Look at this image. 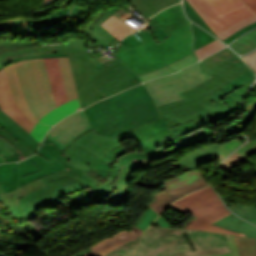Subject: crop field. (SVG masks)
Returning a JSON list of instances; mask_svg holds the SVG:
<instances>
[{
	"instance_id": "52",
	"label": "crop field",
	"mask_w": 256,
	"mask_h": 256,
	"mask_svg": "<svg viewBox=\"0 0 256 256\" xmlns=\"http://www.w3.org/2000/svg\"><path fill=\"white\" fill-rule=\"evenodd\" d=\"M255 152H256V138L250 140L248 143L242 146L235 153L246 159Z\"/></svg>"
},
{
	"instance_id": "12",
	"label": "crop field",
	"mask_w": 256,
	"mask_h": 256,
	"mask_svg": "<svg viewBox=\"0 0 256 256\" xmlns=\"http://www.w3.org/2000/svg\"><path fill=\"white\" fill-rule=\"evenodd\" d=\"M97 73L92 85L106 97L141 83L134 73L119 61Z\"/></svg>"
},
{
	"instance_id": "54",
	"label": "crop field",
	"mask_w": 256,
	"mask_h": 256,
	"mask_svg": "<svg viewBox=\"0 0 256 256\" xmlns=\"http://www.w3.org/2000/svg\"><path fill=\"white\" fill-rule=\"evenodd\" d=\"M0 153L5 159L18 153L10 142L0 136Z\"/></svg>"
},
{
	"instance_id": "29",
	"label": "crop field",
	"mask_w": 256,
	"mask_h": 256,
	"mask_svg": "<svg viewBox=\"0 0 256 256\" xmlns=\"http://www.w3.org/2000/svg\"><path fill=\"white\" fill-rule=\"evenodd\" d=\"M203 180H205L203 175L200 172L193 170L188 173L181 174L178 177L164 183V186L168 190L169 194H171Z\"/></svg>"
},
{
	"instance_id": "59",
	"label": "crop field",
	"mask_w": 256,
	"mask_h": 256,
	"mask_svg": "<svg viewBox=\"0 0 256 256\" xmlns=\"http://www.w3.org/2000/svg\"><path fill=\"white\" fill-rule=\"evenodd\" d=\"M39 170L40 169H38L33 163H31L20 168V177Z\"/></svg>"
},
{
	"instance_id": "64",
	"label": "crop field",
	"mask_w": 256,
	"mask_h": 256,
	"mask_svg": "<svg viewBox=\"0 0 256 256\" xmlns=\"http://www.w3.org/2000/svg\"><path fill=\"white\" fill-rule=\"evenodd\" d=\"M154 223L161 227H170L169 224L161 216Z\"/></svg>"
},
{
	"instance_id": "72",
	"label": "crop field",
	"mask_w": 256,
	"mask_h": 256,
	"mask_svg": "<svg viewBox=\"0 0 256 256\" xmlns=\"http://www.w3.org/2000/svg\"><path fill=\"white\" fill-rule=\"evenodd\" d=\"M255 175H256V169H254V172H253Z\"/></svg>"
},
{
	"instance_id": "65",
	"label": "crop field",
	"mask_w": 256,
	"mask_h": 256,
	"mask_svg": "<svg viewBox=\"0 0 256 256\" xmlns=\"http://www.w3.org/2000/svg\"><path fill=\"white\" fill-rule=\"evenodd\" d=\"M256 13V0H243Z\"/></svg>"
},
{
	"instance_id": "16",
	"label": "crop field",
	"mask_w": 256,
	"mask_h": 256,
	"mask_svg": "<svg viewBox=\"0 0 256 256\" xmlns=\"http://www.w3.org/2000/svg\"><path fill=\"white\" fill-rule=\"evenodd\" d=\"M0 109L29 133L34 127L15 103L4 69L0 70Z\"/></svg>"
},
{
	"instance_id": "5",
	"label": "crop field",
	"mask_w": 256,
	"mask_h": 256,
	"mask_svg": "<svg viewBox=\"0 0 256 256\" xmlns=\"http://www.w3.org/2000/svg\"><path fill=\"white\" fill-rule=\"evenodd\" d=\"M187 233L197 251H192ZM230 253L224 235L191 230L149 228L142 236L134 256H213Z\"/></svg>"
},
{
	"instance_id": "27",
	"label": "crop field",
	"mask_w": 256,
	"mask_h": 256,
	"mask_svg": "<svg viewBox=\"0 0 256 256\" xmlns=\"http://www.w3.org/2000/svg\"><path fill=\"white\" fill-rule=\"evenodd\" d=\"M137 11L146 18V20L153 14L162 9L180 2V0H129Z\"/></svg>"
},
{
	"instance_id": "40",
	"label": "crop field",
	"mask_w": 256,
	"mask_h": 256,
	"mask_svg": "<svg viewBox=\"0 0 256 256\" xmlns=\"http://www.w3.org/2000/svg\"><path fill=\"white\" fill-rule=\"evenodd\" d=\"M60 61H61V67H62V71H63V75H64V79H65V83H66V87H67L70 99L71 100L77 99L79 97L74 84L69 59L68 57H64V58H60Z\"/></svg>"
},
{
	"instance_id": "48",
	"label": "crop field",
	"mask_w": 256,
	"mask_h": 256,
	"mask_svg": "<svg viewBox=\"0 0 256 256\" xmlns=\"http://www.w3.org/2000/svg\"><path fill=\"white\" fill-rule=\"evenodd\" d=\"M185 10L189 16L195 23H200L202 27L216 35L211 28L207 25V23L203 20V18L191 7V5L187 2V0L184 1ZM217 36V35H216ZM218 37V36H217Z\"/></svg>"
},
{
	"instance_id": "42",
	"label": "crop field",
	"mask_w": 256,
	"mask_h": 256,
	"mask_svg": "<svg viewBox=\"0 0 256 256\" xmlns=\"http://www.w3.org/2000/svg\"><path fill=\"white\" fill-rule=\"evenodd\" d=\"M234 213L246 218L247 220L256 224V207L243 205V204H236L229 207Z\"/></svg>"
},
{
	"instance_id": "10",
	"label": "crop field",
	"mask_w": 256,
	"mask_h": 256,
	"mask_svg": "<svg viewBox=\"0 0 256 256\" xmlns=\"http://www.w3.org/2000/svg\"><path fill=\"white\" fill-rule=\"evenodd\" d=\"M87 42L70 40L67 44L36 48L33 42L0 43V69L13 62V59L49 53H82L88 52Z\"/></svg>"
},
{
	"instance_id": "26",
	"label": "crop field",
	"mask_w": 256,
	"mask_h": 256,
	"mask_svg": "<svg viewBox=\"0 0 256 256\" xmlns=\"http://www.w3.org/2000/svg\"><path fill=\"white\" fill-rule=\"evenodd\" d=\"M127 168L122 166L115 182L117 184L116 191L110 195L106 200L112 205L116 206L124 202L127 197L130 195V189L128 187V182L134 176L131 174Z\"/></svg>"
},
{
	"instance_id": "4",
	"label": "crop field",
	"mask_w": 256,
	"mask_h": 256,
	"mask_svg": "<svg viewBox=\"0 0 256 256\" xmlns=\"http://www.w3.org/2000/svg\"><path fill=\"white\" fill-rule=\"evenodd\" d=\"M84 110L97 133L109 137L129 133L130 130L160 118L143 84Z\"/></svg>"
},
{
	"instance_id": "55",
	"label": "crop field",
	"mask_w": 256,
	"mask_h": 256,
	"mask_svg": "<svg viewBox=\"0 0 256 256\" xmlns=\"http://www.w3.org/2000/svg\"><path fill=\"white\" fill-rule=\"evenodd\" d=\"M246 160L239 157L236 154H232L225 161H223L220 166L223 167V170H228L236 167L239 163L245 162Z\"/></svg>"
},
{
	"instance_id": "35",
	"label": "crop field",
	"mask_w": 256,
	"mask_h": 256,
	"mask_svg": "<svg viewBox=\"0 0 256 256\" xmlns=\"http://www.w3.org/2000/svg\"><path fill=\"white\" fill-rule=\"evenodd\" d=\"M100 25L120 41L125 35L135 30L133 27H131L113 14Z\"/></svg>"
},
{
	"instance_id": "67",
	"label": "crop field",
	"mask_w": 256,
	"mask_h": 256,
	"mask_svg": "<svg viewBox=\"0 0 256 256\" xmlns=\"http://www.w3.org/2000/svg\"><path fill=\"white\" fill-rule=\"evenodd\" d=\"M72 1H73V0H65V1H63L61 4H58V5L56 6V8L58 9V8L66 7V6H68V4H70Z\"/></svg>"
},
{
	"instance_id": "11",
	"label": "crop field",
	"mask_w": 256,
	"mask_h": 256,
	"mask_svg": "<svg viewBox=\"0 0 256 256\" xmlns=\"http://www.w3.org/2000/svg\"><path fill=\"white\" fill-rule=\"evenodd\" d=\"M75 84L80 97L81 108L105 98L91 83L96 72L92 69L89 54H69Z\"/></svg>"
},
{
	"instance_id": "33",
	"label": "crop field",
	"mask_w": 256,
	"mask_h": 256,
	"mask_svg": "<svg viewBox=\"0 0 256 256\" xmlns=\"http://www.w3.org/2000/svg\"><path fill=\"white\" fill-rule=\"evenodd\" d=\"M197 62V59L195 57V54H191L169 66H166L164 68L158 69L156 71L150 72L148 74L142 75L140 76L141 80L143 82L150 80L154 77H158V76H162V75H166V74H170V73H174L177 72L193 63Z\"/></svg>"
},
{
	"instance_id": "37",
	"label": "crop field",
	"mask_w": 256,
	"mask_h": 256,
	"mask_svg": "<svg viewBox=\"0 0 256 256\" xmlns=\"http://www.w3.org/2000/svg\"><path fill=\"white\" fill-rule=\"evenodd\" d=\"M205 1L218 17L234 9L246 6V4L242 0H205Z\"/></svg>"
},
{
	"instance_id": "19",
	"label": "crop field",
	"mask_w": 256,
	"mask_h": 256,
	"mask_svg": "<svg viewBox=\"0 0 256 256\" xmlns=\"http://www.w3.org/2000/svg\"><path fill=\"white\" fill-rule=\"evenodd\" d=\"M56 106L69 101L59 58H43Z\"/></svg>"
},
{
	"instance_id": "66",
	"label": "crop field",
	"mask_w": 256,
	"mask_h": 256,
	"mask_svg": "<svg viewBox=\"0 0 256 256\" xmlns=\"http://www.w3.org/2000/svg\"><path fill=\"white\" fill-rule=\"evenodd\" d=\"M173 208H175L176 210H178L179 212H181L183 215H185L186 213H188V211H186L185 209L181 208L180 206H178L177 204L173 203L171 205Z\"/></svg>"
},
{
	"instance_id": "20",
	"label": "crop field",
	"mask_w": 256,
	"mask_h": 256,
	"mask_svg": "<svg viewBox=\"0 0 256 256\" xmlns=\"http://www.w3.org/2000/svg\"><path fill=\"white\" fill-rule=\"evenodd\" d=\"M115 14L122 19V16L128 11L122 8H109L108 13H101L87 28L86 31L93 32L94 36L90 39L99 43L103 47L109 50L111 44L114 41V37L111 36L105 29H103L99 24L104 21L111 14ZM123 20V19H122ZM126 22V21H125ZM128 23V22H127Z\"/></svg>"
},
{
	"instance_id": "34",
	"label": "crop field",
	"mask_w": 256,
	"mask_h": 256,
	"mask_svg": "<svg viewBox=\"0 0 256 256\" xmlns=\"http://www.w3.org/2000/svg\"><path fill=\"white\" fill-rule=\"evenodd\" d=\"M19 178L17 163L0 165V185L4 192L15 189Z\"/></svg>"
},
{
	"instance_id": "46",
	"label": "crop field",
	"mask_w": 256,
	"mask_h": 256,
	"mask_svg": "<svg viewBox=\"0 0 256 256\" xmlns=\"http://www.w3.org/2000/svg\"><path fill=\"white\" fill-rule=\"evenodd\" d=\"M212 135H213V133H212L211 129H204L202 131L194 133V134L190 135L187 139H185L182 143L175 146L173 151L175 152V151L187 146L193 140L203 139V138H206V137H209Z\"/></svg>"
},
{
	"instance_id": "60",
	"label": "crop field",
	"mask_w": 256,
	"mask_h": 256,
	"mask_svg": "<svg viewBox=\"0 0 256 256\" xmlns=\"http://www.w3.org/2000/svg\"><path fill=\"white\" fill-rule=\"evenodd\" d=\"M77 6V5H76ZM70 12L69 14V18H68V23H71V22H75L79 19H81V13L79 12L82 8L80 7H76Z\"/></svg>"
},
{
	"instance_id": "71",
	"label": "crop field",
	"mask_w": 256,
	"mask_h": 256,
	"mask_svg": "<svg viewBox=\"0 0 256 256\" xmlns=\"http://www.w3.org/2000/svg\"><path fill=\"white\" fill-rule=\"evenodd\" d=\"M3 192V190H2V188L0 187V193H2Z\"/></svg>"
},
{
	"instance_id": "51",
	"label": "crop field",
	"mask_w": 256,
	"mask_h": 256,
	"mask_svg": "<svg viewBox=\"0 0 256 256\" xmlns=\"http://www.w3.org/2000/svg\"><path fill=\"white\" fill-rule=\"evenodd\" d=\"M242 144L243 143L234 139L232 141L224 143L223 145H220L219 162Z\"/></svg>"
},
{
	"instance_id": "23",
	"label": "crop field",
	"mask_w": 256,
	"mask_h": 256,
	"mask_svg": "<svg viewBox=\"0 0 256 256\" xmlns=\"http://www.w3.org/2000/svg\"><path fill=\"white\" fill-rule=\"evenodd\" d=\"M225 208L226 207L223 206L217 210H214V211L204 215L203 217L190 223L187 228L239 235L238 233H235V232L226 230L224 228L209 224V223H213V222L231 214V212H229L228 210H225Z\"/></svg>"
},
{
	"instance_id": "53",
	"label": "crop field",
	"mask_w": 256,
	"mask_h": 256,
	"mask_svg": "<svg viewBox=\"0 0 256 256\" xmlns=\"http://www.w3.org/2000/svg\"><path fill=\"white\" fill-rule=\"evenodd\" d=\"M127 49L143 44L142 39L140 38L137 30L129 34L127 37H125L121 42Z\"/></svg>"
},
{
	"instance_id": "61",
	"label": "crop field",
	"mask_w": 256,
	"mask_h": 256,
	"mask_svg": "<svg viewBox=\"0 0 256 256\" xmlns=\"http://www.w3.org/2000/svg\"><path fill=\"white\" fill-rule=\"evenodd\" d=\"M243 59L250 65L256 74V51L246 57H243Z\"/></svg>"
},
{
	"instance_id": "28",
	"label": "crop field",
	"mask_w": 256,
	"mask_h": 256,
	"mask_svg": "<svg viewBox=\"0 0 256 256\" xmlns=\"http://www.w3.org/2000/svg\"><path fill=\"white\" fill-rule=\"evenodd\" d=\"M214 224L235 232H239L241 233V236L256 237V227L239 219L233 214L221 219Z\"/></svg>"
},
{
	"instance_id": "21",
	"label": "crop field",
	"mask_w": 256,
	"mask_h": 256,
	"mask_svg": "<svg viewBox=\"0 0 256 256\" xmlns=\"http://www.w3.org/2000/svg\"><path fill=\"white\" fill-rule=\"evenodd\" d=\"M209 183L205 180L201 183L196 185L190 186L185 188L181 191L173 193L171 195L168 194L167 190H163L161 192L155 193L152 195L153 200L150 202V207L156 211L159 215L161 212L174 201L178 200L179 198L197 190L201 189L202 187L207 186Z\"/></svg>"
},
{
	"instance_id": "22",
	"label": "crop field",
	"mask_w": 256,
	"mask_h": 256,
	"mask_svg": "<svg viewBox=\"0 0 256 256\" xmlns=\"http://www.w3.org/2000/svg\"><path fill=\"white\" fill-rule=\"evenodd\" d=\"M135 238H137V235L135 234L133 229L129 232L122 230L106 239H103L89 246V248L95 251L99 256H104L116 247L123 245Z\"/></svg>"
},
{
	"instance_id": "43",
	"label": "crop field",
	"mask_w": 256,
	"mask_h": 256,
	"mask_svg": "<svg viewBox=\"0 0 256 256\" xmlns=\"http://www.w3.org/2000/svg\"><path fill=\"white\" fill-rule=\"evenodd\" d=\"M159 215L154 212L150 207L145 212L144 217L137 224L136 228H133L138 237L144 232V230L158 217Z\"/></svg>"
},
{
	"instance_id": "41",
	"label": "crop field",
	"mask_w": 256,
	"mask_h": 256,
	"mask_svg": "<svg viewBox=\"0 0 256 256\" xmlns=\"http://www.w3.org/2000/svg\"><path fill=\"white\" fill-rule=\"evenodd\" d=\"M77 1L78 0H76V2L73 5H75L77 3ZM72 6H70L67 9L60 10V11L50 15L47 18L40 19V20H31L33 30L41 28V27H45V26H48V25L55 24V23L63 20L68 15V13L70 12Z\"/></svg>"
},
{
	"instance_id": "13",
	"label": "crop field",
	"mask_w": 256,
	"mask_h": 256,
	"mask_svg": "<svg viewBox=\"0 0 256 256\" xmlns=\"http://www.w3.org/2000/svg\"><path fill=\"white\" fill-rule=\"evenodd\" d=\"M92 129L82 111H79L61 121L50 130L48 137L60 149L61 153L80 135Z\"/></svg>"
},
{
	"instance_id": "18",
	"label": "crop field",
	"mask_w": 256,
	"mask_h": 256,
	"mask_svg": "<svg viewBox=\"0 0 256 256\" xmlns=\"http://www.w3.org/2000/svg\"><path fill=\"white\" fill-rule=\"evenodd\" d=\"M0 127L7 130L20 143L21 151L26 157L36 153L40 143L1 110Z\"/></svg>"
},
{
	"instance_id": "3",
	"label": "crop field",
	"mask_w": 256,
	"mask_h": 256,
	"mask_svg": "<svg viewBox=\"0 0 256 256\" xmlns=\"http://www.w3.org/2000/svg\"><path fill=\"white\" fill-rule=\"evenodd\" d=\"M152 18L170 36L158 45L146 27L139 29L145 44L129 50L122 46L116 55L138 76L193 53L191 26L182 12L181 4L171 6Z\"/></svg>"
},
{
	"instance_id": "47",
	"label": "crop field",
	"mask_w": 256,
	"mask_h": 256,
	"mask_svg": "<svg viewBox=\"0 0 256 256\" xmlns=\"http://www.w3.org/2000/svg\"><path fill=\"white\" fill-rule=\"evenodd\" d=\"M139 241V238L134 240V241H131L117 249H115L114 251H112L111 253H109L108 255L106 256H132L133 252H134V249L137 245Z\"/></svg>"
},
{
	"instance_id": "30",
	"label": "crop field",
	"mask_w": 256,
	"mask_h": 256,
	"mask_svg": "<svg viewBox=\"0 0 256 256\" xmlns=\"http://www.w3.org/2000/svg\"><path fill=\"white\" fill-rule=\"evenodd\" d=\"M219 151V144H210L207 145L199 150H196L187 156H185L183 159H181L179 162L175 163V167H186L188 165L203 161L207 158H210L212 156L218 155Z\"/></svg>"
},
{
	"instance_id": "36",
	"label": "crop field",
	"mask_w": 256,
	"mask_h": 256,
	"mask_svg": "<svg viewBox=\"0 0 256 256\" xmlns=\"http://www.w3.org/2000/svg\"><path fill=\"white\" fill-rule=\"evenodd\" d=\"M42 186H44V184L38 179L18 189L0 194V199L6 204V206H11L17 203L18 198Z\"/></svg>"
},
{
	"instance_id": "6",
	"label": "crop field",
	"mask_w": 256,
	"mask_h": 256,
	"mask_svg": "<svg viewBox=\"0 0 256 256\" xmlns=\"http://www.w3.org/2000/svg\"><path fill=\"white\" fill-rule=\"evenodd\" d=\"M128 138L132 136L125 134L113 138L105 137L98 135L93 129L80 136L62 154L47 136L42 145L75 176H88L86 171L91 169H96L98 174L106 176L111 165L100 158L109 150L122 146L118 142Z\"/></svg>"
},
{
	"instance_id": "63",
	"label": "crop field",
	"mask_w": 256,
	"mask_h": 256,
	"mask_svg": "<svg viewBox=\"0 0 256 256\" xmlns=\"http://www.w3.org/2000/svg\"><path fill=\"white\" fill-rule=\"evenodd\" d=\"M217 158H218V156H216V157H212V158H210V159H208V160H205V161H203V162H200V163H197V164L191 165V166H189V167L185 168L183 171H186V170H189V169H191V170H193V169H197V167H198V166H200L202 163H204V162H208V161H211V160H214V159H217Z\"/></svg>"
},
{
	"instance_id": "44",
	"label": "crop field",
	"mask_w": 256,
	"mask_h": 256,
	"mask_svg": "<svg viewBox=\"0 0 256 256\" xmlns=\"http://www.w3.org/2000/svg\"><path fill=\"white\" fill-rule=\"evenodd\" d=\"M192 25L195 35L194 50L216 39L208 33H206L205 31L198 28L197 26H195L193 23Z\"/></svg>"
},
{
	"instance_id": "9",
	"label": "crop field",
	"mask_w": 256,
	"mask_h": 256,
	"mask_svg": "<svg viewBox=\"0 0 256 256\" xmlns=\"http://www.w3.org/2000/svg\"><path fill=\"white\" fill-rule=\"evenodd\" d=\"M188 2L222 40L256 21V14L248 6L218 18L204 0H188Z\"/></svg>"
},
{
	"instance_id": "69",
	"label": "crop field",
	"mask_w": 256,
	"mask_h": 256,
	"mask_svg": "<svg viewBox=\"0 0 256 256\" xmlns=\"http://www.w3.org/2000/svg\"><path fill=\"white\" fill-rule=\"evenodd\" d=\"M97 254H95L94 252H89L88 254H86V255H83V256H96Z\"/></svg>"
},
{
	"instance_id": "1",
	"label": "crop field",
	"mask_w": 256,
	"mask_h": 256,
	"mask_svg": "<svg viewBox=\"0 0 256 256\" xmlns=\"http://www.w3.org/2000/svg\"><path fill=\"white\" fill-rule=\"evenodd\" d=\"M182 138L172 129H169L140 143L142 153L128 154L123 146L108 152L101 158L112 165L106 184L101 185L95 176L75 177L66 169L43 177L40 180L46 185L45 187L18 199V204L8 207V210L17 224L20 225L39 216L35 211L37 208L55 207L63 203L58 197L70 192L90 187L106 199L115 191L114 179L125 162L133 158L153 160L164 156L168 154L166 147L175 144Z\"/></svg>"
},
{
	"instance_id": "24",
	"label": "crop field",
	"mask_w": 256,
	"mask_h": 256,
	"mask_svg": "<svg viewBox=\"0 0 256 256\" xmlns=\"http://www.w3.org/2000/svg\"><path fill=\"white\" fill-rule=\"evenodd\" d=\"M4 69H5L10 87L12 89L13 95L15 97L16 103L23 110V112L26 114V116L31 120V122L36 124V122L38 120L31 113V111L25 101V98H24L18 77L16 75L15 69L13 67V64H10V65L4 67Z\"/></svg>"
},
{
	"instance_id": "45",
	"label": "crop field",
	"mask_w": 256,
	"mask_h": 256,
	"mask_svg": "<svg viewBox=\"0 0 256 256\" xmlns=\"http://www.w3.org/2000/svg\"><path fill=\"white\" fill-rule=\"evenodd\" d=\"M225 47V45H223L220 41H218L217 39L215 41H213L212 43L196 50V56L197 58L200 60L210 54H212L213 52L221 49Z\"/></svg>"
},
{
	"instance_id": "8",
	"label": "crop field",
	"mask_w": 256,
	"mask_h": 256,
	"mask_svg": "<svg viewBox=\"0 0 256 256\" xmlns=\"http://www.w3.org/2000/svg\"><path fill=\"white\" fill-rule=\"evenodd\" d=\"M210 77L212 76L201 71L199 62H197L177 72V74L159 78L144 84L158 106L183 99V92L201 84Z\"/></svg>"
},
{
	"instance_id": "7",
	"label": "crop field",
	"mask_w": 256,
	"mask_h": 256,
	"mask_svg": "<svg viewBox=\"0 0 256 256\" xmlns=\"http://www.w3.org/2000/svg\"><path fill=\"white\" fill-rule=\"evenodd\" d=\"M25 98L32 113L39 120L56 108L42 58L13 63Z\"/></svg>"
},
{
	"instance_id": "62",
	"label": "crop field",
	"mask_w": 256,
	"mask_h": 256,
	"mask_svg": "<svg viewBox=\"0 0 256 256\" xmlns=\"http://www.w3.org/2000/svg\"><path fill=\"white\" fill-rule=\"evenodd\" d=\"M64 56H68V54H50V55H41V56H35V57L20 58V59L14 60V62L23 60V59L38 58V57H64Z\"/></svg>"
},
{
	"instance_id": "70",
	"label": "crop field",
	"mask_w": 256,
	"mask_h": 256,
	"mask_svg": "<svg viewBox=\"0 0 256 256\" xmlns=\"http://www.w3.org/2000/svg\"><path fill=\"white\" fill-rule=\"evenodd\" d=\"M5 159L0 156V163H4Z\"/></svg>"
},
{
	"instance_id": "50",
	"label": "crop field",
	"mask_w": 256,
	"mask_h": 256,
	"mask_svg": "<svg viewBox=\"0 0 256 256\" xmlns=\"http://www.w3.org/2000/svg\"><path fill=\"white\" fill-rule=\"evenodd\" d=\"M0 135L3 136L5 139H7L8 141H10L13 146L20 152L17 155H14L8 159H6V162H12V161H19L21 159L26 158L23 153L20 151V147L18 142L4 129L0 128Z\"/></svg>"
},
{
	"instance_id": "49",
	"label": "crop field",
	"mask_w": 256,
	"mask_h": 256,
	"mask_svg": "<svg viewBox=\"0 0 256 256\" xmlns=\"http://www.w3.org/2000/svg\"><path fill=\"white\" fill-rule=\"evenodd\" d=\"M250 118V116L244 117L228 125L226 128H224L225 136H231L237 132H240L243 127L248 123Z\"/></svg>"
},
{
	"instance_id": "56",
	"label": "crop field",
	"mask_w": 256,
	"mask_h": 256,
	"mask_svg": "<svg viewBox=\"0 0 256 256\" xmlns=\"http://www.w3.org/2000/svg\"><path fill=\"white\" fill-rule=\"evenodd\" d=\"M52 126H47L43 123L37 122L33 130L31 131V135L36 138L39 142H41L42 138L44 135L47 133V131L51 128Z\"/></svg>"
},
{
	"instance_id": "17",
	"label": "crop field",
	"mask_w": 256,
	"mask_h": 256,
	"mask_svg": "<svg viewBox=\"0 0 256 256\" xmlns=\"http://www.w3.org/2000/svg\"><path fill=\"white\" fill-rule=\"evenodd\" d=\"M33 162L37 167H39L42 171L29 174L23 178H20L18 187L31 182L37 178H41L53 172L64 169V167L42 146L40 147L39 152L32 157L27 158L24 161L19 162V167L26 165L28 163Z\"/></svg>"
},
{
	"instance_id": "31",
	"label": "crop field",
	"mask_w": 256,
	"mask_h": 256,
	"mask_svg": "<svg viewBox=\"0 0 256 256\" xmlns=\"http://www.w3.org/2000/svg\"><path fill=\"white\" fill-rule=\"evenodd\" d=\"M78 110H80L79 99L70 101V102L54 109L53 111L49 112L44 117H42L40 119V121L45 122L47 124L55 125L56 123L61 121L66 116H68Z\"/></svg>"
},
{
	"instance_id": "38",
	"label": "crop field",
	"mask_w": 256,
	"mask_h": 256,
	"mask_svg": "<svg viewBox=\"0 0 256 256\" xmlns=\"http://www.w3.org/2000/svg\"><path fill=\"white\" fill-rule=\"evenodd\" d=\"M255 79V76L252 72V70H248L239 77H237L235 80L224 86L223 88L213 92L214 96L217 98V100L232 91L240 88L243 84Z\"/></svg>"
},
{
	"instance_id": "32",
	"label": "crop field",
	"mask_w": 256,
	"mask_h": 256,
	"mask_svg": "<svg viewBox=\"0 0 256 256\" xmlns=\"http://www.w3.org/2000/svg\"><path fill=\"white\" fill-rule=\"evenodd\" d=\"M169 129V127L164 122L163 118L154 120L134 131L130 134L135 138L137 143L144 141L145 139L154 136L162 131Z\"/></svg>"
},
{
	"instance_id": "39",
	"label": "crop field",
	"mask_w": 256,
	"mask_h": 256,
	"mask_svg": "<svg viewBox=\"0 0 256 256\" xmlns=\"http://www.w3.org/2000/svg\"><path fill=\"white\" fill-rule=\"evenodd\" d=\"M230 47L240 54H245L256 47V29L236 40Z\"/></svg>"
},
{
	"instance_id": "68",
	"label": "crop field",
	"mask_w": 256,
	"mask_h": 256,
	"mask_svg": "<svg viewBox=\"0 0 256 256\" xmlns=\"http://www.w3.org/2000/svg\"><path fill=\"white\" fill-rule=\"evenodd\" d=\"M255 110H256V102L250 105L249 107L250 114L253 115Z\"/></svg>"
},
{
	"instance_id": "57",
	"label": "crop field",
	"mask_w": 256,
	"mask_h": 256,
	"mask_svg": "<svg viewBox=\"0 0 256 256\" xmlns=\"http://www.w3.org/2000/svg\"><path fill=\"white\" fill-rule=\"evenodd\" d=\"M147 163H149V161H147V160H132V161L128 162L127 164H125L124 166H126L128 169H130L133 172L137 168H139Z\"/></svg>"
},
{
	"instance_id": "58",
	"label": "crop field",
	"mask_w": 256,
	"mask_h": 256,
	"mask_svg": "<svg viewBox=\"0 0 256 256\" xmlns=\"http://www.w3.org/2000/svg\"><path fill=\"white\" fill-rule=\"evenodd\" d=\"M256 27V23H253L245 28H243L242 30L238 31L237 33H235L234 35L230 36L229 38L223 40L225 43L229 44L231 41H233L236 37L246 33L247 31H249L250 29Z\"/></svg>"
},
{
	"instance_id": "73",
	"label": "crop field",
	"mask_w": 256,
	"mask_h": 256,
	"mask_svg": "<svg viewBox=\"0 0 256 256\" xmlns=\"http://www.w3.org/2000/svg\"><path fill=\"white\" fill-rule=\"evenodd\" d=\"M1 201V200H0Z\"/></svg>"
},
{
	"instance_id": "25",
	"label": "crop field",
	"mask_w": 256,
	"mask_h": 256,
	"mask_svg": "<svg viewBox=\"0 0 256 256\" xmlns=\"http://www.w3.org/2000/svg\"><path fill=\"white\" fill-rule=\"evenodd\" d=\"M231 254L219 256H256V239L226 235Z\"/></svg>"
},
{
	"instance_id": "2",
	"label": "crop field",
	"mask_w": 256,
	"mask_h": 256,
	"mask_svg": "<svg viewBox=\"0 0 256 256\" xmlns=\"http://www.w3.org/2000/svg\"><path fill=\"white\" fill-rule=\"evenodd\" d=\"M202 71L213 77L184 93L186 99L158 106V110L169 127L194 121L229 107L216 100L212 91L226 85L249 67L228 48L222 49L200 61ZM208 106V107H206Z\"/></svg>"
},
{
	"instance_id": "15",
	"label": "crop field",
	"mask_w": 256,
	"mask_h": 256,
	"mask_svg": "<svg viewBox=\"0 0 256 256\" xmlns=\"http://www.w3.org/2000/svg\"><path fill=\"white\" fill-rule=\"evenodd\" d=\"M175 203L194 214L197 218L223 206L211 185L193 192Z\"/></svg>"
},
{
	"instance_id": "14",
	"label": "crop field",
	"mask_w": 256,
	"mask_h": 256,
	"mask_svg": "<svg viewBox=\"0 0 256 256\" xmlns=\"http://www.w3.org/2000/svg\"><path fill=\"white\" fill-rule=\"evenodd\" d=\"M252 82V81H251ZM251 82L243 85L240 89L234 91L233 93L227 95L225 103L231 108L229 110H226L224 112L194 121L190 123H186L180 126H174L171 127L173 130H175L179 135L185 137L190 132L204 128L206 126H209L213 123H216L218 121H222L224 119H227L231 115H233L238 107V104L240 103L241 99L243 98L247 88L251 84Z\"/></svg>"
}]
</instances>
